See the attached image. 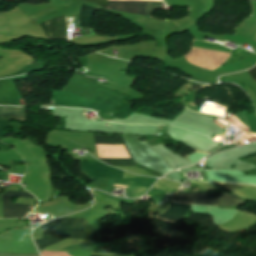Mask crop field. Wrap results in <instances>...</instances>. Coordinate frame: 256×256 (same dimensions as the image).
Masks as SVG:
<instances>
[{"mask_svg": "<svg viewBox=\"0 0 256 256\" xmlns=\"http://www.w3.org/2000/svg\"><path fill=\"white\" fill-rule=\"evenodd\" d=\"M61 219L68 238L98 241L94 228L86 220L82 218ZM61 219L41 225L44 232L43 238L35 240L39 250L67 238Z\"/></svg>", "mask_w": 256, "mask_h": 256, "instance_id": "crop-field-1", "label": "crop field"}, {"mask_svg": "<svg viewBox=\"0 0 256 256\" xmlns=\"http://www.w3.org/2000/svg\"><path fill=\"white\" fill-rule=\"evenodd\" d=\"M126 145L136 162L147 166L161 174L170 171L164 158L157 153L147 142L137 141L141 136L123 135Z\"/></svg>", "mask_w": 256, "mask_h": 256, "instance_id": "crop-field-2", "label": "crop field"}, {"mask_svg": "<svg viewBox=\"0 0 256 256\" xmlns=\"http://www.w3.org/2000/svg\"><path fill=\"white\" fill-rule=\"evenodd\" d=\"M174 201L204 205L240 206L243 202L233 194L218 192L186 193L177 192Z\"/></svg>", "mask_w": 256, "mask_h": 256, "instance_id": "crop-field-3", "label": "crop field"}, {"mask_svg": "<svg viewBox=\"0 0 256 256\" xmlns=\"http://www.w3.org/2000/svg\"><path fill=\"white\" fill-rule=\"evenodd\" d=\"M79 27L93 28L92 16L97 7L77 6ZM47 38L65 37V15L40 24Z\"/></svg>", "mask_w": 256, "mask_h": 256, "instance_id": "crop-field-4", "label": "crop field"}, {"mask_svg": "<svg viewBox=\"0 0 256 256\" xmlns=\"http://www.w3.org/2000/svg\"><path fill=\"white\" fill-rule=\"evenodd\" d=\"M12 197L35 199L29 192L6 190L3 193L4 218L26 216L30 204L12 203Z\"/></svg>", "mask_w": 256, "mask_h": 256, "instance_id": "crop-field-5", "label": "crop field"}, {"mask_svg": "<svg viewBox=\"0 0 256 256\" xmlns=\"http://www.w3.org/2000/svg\"><path fill=\"white\" fill-rule=\"evenodd\" d=\"M148 1H109L108 8L128 13H137L145 15V5ZM161 2V1H155ZM148 2L146 8V14L149 15L151 9L161 8V3Z\"/></svg>", "mask_w": 256, "mask_h": 256, "instance_id": "crop-field-6", "label": "crop field"}, {"mask_svg": "<svg viewBox=\"0 0 256 256\" xmlns=\"http://www.w3.org/2000/svg\"><path fill=\"white\" fill-rule=\"evenodd\" d=\"M82 173L88 178L91 177H108L122 178L123 171L111 168L100 161L81 162Z\"/></svg>", "mask_w": 256, "mask_h": 256, "instance_id": "crop-field-7", "label": "crop field"}, {"mask_svg": "<svg viewBox=\"0 0 256 256\" xmlns=\"http://www.w3.org/2000/svg\"><path fill=\"white\" fill-rule=\"evenodd\" d=\"M94 139L96 144H124L125 145V142L122 136L96 135L94 136ZM99 160L107 164H110L112 166L136 165L133 158L132 159H99Z\"/></svg>", "mask_w": 256, "mask_h": 256, "instance_id": "crop-field-8", "label": "crop field"}, {"mask_svg": "<svg viewBox=\"0 0 256 256\" xmlns=\"http://www.w3.org/2000/svg\"><path fill=\"white\" fill-rule=\"evenodd\" d=\"M191 205L173 202L171 207L164 213L156 215V218L176 222L186 216Z\"/></svg>", "mask_w": 256, "mask_h": 256, "instance_id": "crop-field-9", "label": "crop field"}, {"mask_svg": "<svg viewBox=\"0 0 256 256\" xmlns=\"http://www.w3.org/2000/svg\"><path fill=\"white\" fill-rule=\"evenodd\" d=\"M6 118L18 119L27 122L24 108L0 106V119Z\"/></svg>", "mask_w": 256, "mask_h": 256, "instance_id": "crop-field-10", "label": "crop field"}, {"mask_svg": "<svg viewBox=\"0 0 256 256\" xmlns=\"http://www.w3.org/2000/svg\"><path fill=\"white\" fill-rule=\"evenodd\" d=\"M119 184V183H115ZM120 185H127V192L126 195L132 196V197H139L147 191L149 187L146 186H137V185H128V184H120ZM120 185H113V186H120ZM126 187V186H122Z\"/></svg>", "mask_w": 256, "mask_h": 256, "instance_id": "crop-field-11", "label": "crop field"}, {"mask_svg": "<svg viewBox=\"0 0 256 256\" xmlns=\"http://www.w3.org/2000/svg\"><path fill=\"white\" fill-rule=\"evenodd\" d=\"M0 256H39L38 254H14V253H1Z\"/></svg>", "mask_w": 256, "mask_h": 256, "instance_id": "crop-field-12", "label": "crop field"}, {"mask_svg": "<svg viewBox=\"0 0 256 256\" xmlns=\"http://www.w3.org/2000/svg\"><path fill=\"white\" fill-rule=\"evenodd\" d=\"M87 1L94 2L98 5H100L101 7H103L104 9L107 8V4H108L107 0H87Z\"/></svg>", "mask_w": 256, "mask_h": 256, "instance_id": "crop-field-13", "label": "crop field"}, {"mask_svg": "<svg viewBox=\"0 0 256 256\" xmlns=\"http://www.w3.org/2000/svg\"><path fill=\"white\" fill-rule=\"evenodd\" d=\"M248 72H249L250 76L253 78V80L256 81V67L249 69Z\"/></svg>", "mask_w": 256, "mask_h": 256, "instance_id": "crop-field-14", "label": "crop field"}, {"mask_svg": "<svg viewBox=\"0 0 256 256\" xmlns=\"http://www.w3.org/2000/svg\"><path fill=\"white\" fill-rule=\"evenodd\" d=\"M0 174H3V175L8 176L9 173H7V172H5V171H3V170H0Z\"/></svg>", "mask_w": 256, "mask_h": 256, "instance_id": "crop-field-15", "label": "crop field"}, {"mask_svg": "<svg viewBox=\"0 0 256 256\" xmlns=\"http://www.w3.org/2000/svg\"><path fill=\"white\" fill-rule=\"evenodd\" d=\"M23 187H25L24 185H22Z\"/></svg>", "mask_w": 256, "mask_h": 256, "instance_id": "crop-field-16", "label": "crop field"}]
</instances>
